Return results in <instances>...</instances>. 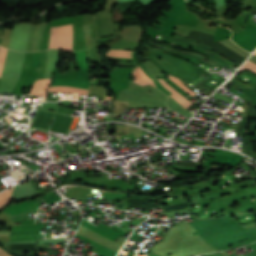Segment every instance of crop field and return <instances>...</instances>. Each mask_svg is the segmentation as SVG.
Listing matches in <instances>:
<instances>
[{
	"label": "crop field",
	"instance_id": "obj_15",
	"mask_svg": "<svg viewBox=\"0 0 256 256\" xmlns=\"http://www.w3.org/2000/svg\"><path fill=\"white\" fill-rule=\"evenodd\" d=\"M10 231H0V235H9Z\"/></svg>",
	"mask_w": 256,
	"mask_h": 256
},
{
	"label": "crop field",
	"instance_id": "obj_8",
	"mask_svg": "<svg viewBox=\"0 0 256 256\" xmlns=\"http://www.w3.org/2000/svg\"><path fill=\"white\" fill-rule=\"evenodd\" d=\"M106 55L131 58V51H129V50H109L108 52H106Z\"/></svg>",
	"mask_w": 256,
	"mask_h": 256
},
{
	"label": "crop field",
	"instance_id": "obj_10",
	"mask_svg": "<svg viewBox=\"0 0 256 256\" xmlns=\"http://www.w3.org/2000/svg\"><path fill=\"white\" fill-rule=\"evenodd\" d=\"M169 78L174 81L179 87H181L185 92H187L190 96H195L196 94L193 93L187 86H185L183 83H181L178 79L175 77L169 76Z\"/></svg>",
	"mask_w": 256,
	"mask_h": 256
},
{
	"label": "crop field",
	"instance_id": "obj_4",
	"mask_svg": "<svg viewBox=\"0 0 256 256\" xmlns=\"http://www.w3.org/2000/svg\"><path fill=\"white\" fill-rule=\"evenodd\" d=\"M133 76H135V79H134V82L141 85V86H144V85H153V81L150 80L146 75L145 73L143 72V70L139 67L135 68L134 69V72H133Z\"/></svg>",
	"mask_w": 256,
	"mask_h": 256
},
{
	"label": "crop field",
	"instance_id": "obj_11",
	"mask_svg": "<svg viewBox=\"0 0 256 256\" xmlns=\"http://www.w3.org/2000/svg\"><path fill=\"white\" fill-rule=\"evenodd\" d=\"M6 51H7L6 48L0 47V75L5 62Z\"/></svg>",
	"mask_w": 256,
	"mask_h": 256
},
{
	"label": "crop field",
	"instance_id": "obj_14",
	"mask_svg": "<svg viewBox=\"0 0 256 256\" xmlns=\"http://www.w3.org/2000/svg\"><path fill=\"white\" fill-rule=\"evenodd\" d=\"M0 256H10L7 253H5L3 250L0 249Z\"/></svg>",
	"mask_w": 256,
	"mask_h": 256
},
{
	"label": "crop field",
	"instance_id": "obj_5",
	"mask_svg": "<svg viewBox=\"0 0 256 256\" xmlns=\"http://www.w3.org/2000/svg\"><path fill=\"white\" fill-rule=\"evenodd\" d=\"M160 81V83L167 89L169 90L172 94H174L175 96H177L183 103H185L187 106L183 105L174 95H170L171 97H173L180 105H182L185 109L190 106L192 103L189 102L187 99L183 98L175 89H173L172 87H170L165 81H163L162 79H158Z\"/></svg>",
	"mask_w": 256,
	"mask_h": 256
},
{
	"label": "crop field",
	"instance_id": "obj_12",
	"mask_svg": "<svg viewBox=\"0 0 256 256\" xmlns=\"http://www.w3.org/2000/svg\"><path fill=\"white\" fill-rule=\"evenodd\" d=\"M243 69H248V70L256 73V64H254L248 60L240 70H243Z\"/></svg>",
	"mask_w": 256,
	"mask_h": 256
},
{
	"label": "crop field",
	"instance_id": "obj_2",
	"mask_svg": "<svg viewBox=\"0 0 256 256\" xmlns=\"http://www.w3.org/2000/svg\"><path fill=\"white\" fill-rule=\"evenodd\" d=\"M37 200L22 202L6 208L3 212L14 222L26 220L28 212L36 213L39 207Z\"/></svg>",
	"mask_w": 256,
	"mask_h": 256
},
{
	"label": "crop field",
	"instance_id": "obj_9",
	"mask_svg": "<svg viewBox=\"0 0 256 256\" xmlns=\"http://www.w3.org/2000/svg\"><path fill=\"white\" fill-rule=\"evenodd\" d=\"M45 24L46 23H41L38 26V30H37V34H36V38H35V42H34V46H33V50L32 51L39 50V42H40L41 34L43 32Z\"/></svg>",
	"mask_w": 256,
	"mask_h": 256
},
{
	"label": "crop field",
	"instance_id": "obj_7",
	"mask_svg": "<svg viewBox=\"0 0 256 256\" xmlns=\"http://www.w3.org/2000/svg\"><path fill=\"white\" fill-rule=\"evenodd\" d=\"M74 54L77 58L78 68H88V63L85 59L86 51H80Z\"/></svg>",
	"mask_w": 256,
	"mask_h": 256
},
{
	"label": "crop field",
	"instance_id": "obj_3",
	"mask_svg": "<svg viewBox=\"0 0 256 256\" xmlns=\"http://www.w3.org/2000/svg\"><path fill=\"white\" fill-rule=\"evenodd\" d=\"M90 81L55 79L51 86L68 85L88 89Z\"/></svg>",
	"mask_w": 256,
	"mask_h": 256
},
{
	"label": "crop field",
	"instance_id": "obj_13",
	"mask_svg": "<svg viewBox=\"0 0 256 256\" xmlns=\"http://www.w3.org/2000/svg\"><path fill=\"white\" fill-rule=\"evenodd\" d=\"M155 81V85L157 86V88L164 92L166 95L168 94H171L169 91H167L156 79L154 80Z\"/></svg>",
	"mask_w": 256,
	"mask_h": 256
},
{
	"label": "crop field",
	"instance_id": "obj_16",
	"mask_svg": "<svg viewBox=\"0 0 256 256\" xmlns=\"http://www.w3.org/2000/svg\"><path fill=\"white\" fill-rule=\"evenodd\" d=\"M254 54H256V52Z\"/></svg>",
	"mask_w": 256,
	"mask_h": 256
},
{
	"label": "crop field",
	"instance_id": "obj_6",
	"mask_svg": "<svg viewBox=\"0 0 256 256\" xmlns=\"http://www.w3.org/2000/svg\"><path fill=\"white\" fill-rule=\"evenodd\" d=\"M13 188L0 194V209L10 203Z\"/></svg>",
	"mask_w": 256,
	"mask_h": 256
},
{
	"label": "crop field",
	"instance_id": "obj_1",
	"mask_svg": "<svg viewBox=\"0 0 256 256\" xmlns=\"http://www.w3.org/2000/svg\"><path fill=\"white\" fill-rule=\"evenodd\" d=\"M49 48L73 51L72 24L51 28Z\"/></svg>",
	"mask_w": 256,
	"mask_h": 256
}]
</instances>
